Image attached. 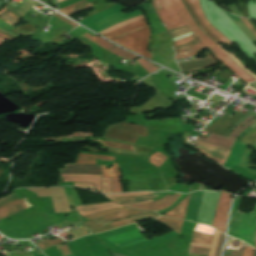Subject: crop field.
Here are the masks:
<instances>
[{
	"instance_id": "dafd665d",
	"label": "crop field",
	"mask_w": 256,
	"mask_h": 256,
	"mask_svg": "<svg viewBox=\"0 0 256 256\" xmlns=\"http://www.w3.org/2000/svg\"><path fill=\"white\" fill-rule=\"evenodd\" d=\"M0 18H2L4 21H6L7 23L13 26L19 23L20 21L19 17H17L7 9L0 14Z\"/></svg>"
},
{
	"instance_id": "c035e120",
	"label": "crop field",
	"mask_w": 256,
	"mask_h": 256,
	"mask_svg": "<svg viewBox=\"0 0 256 256\" xmlns=\"http://www.w3.org/2000/svg\"><path fill=\"white\" fill-rule=\"evenodd\" d=\"M113 192H122L120 187V177L112 178Z\"/></svg>"
},
{
	"instance_id": "db79e9e6",
	"label": "crop field",
	"mask_w": 256,
	"mask_h": 256,
	"mask_svg": "<svg viewBox=\"0 0 256 256\" xmlns=\"http://www.w3.org/2000/svg\"><path fill=\"white\" fill-rule=\"evenodd\" d=\"M255 249H256V245H255Z\"/></svg>"
},
{
	"instance_id": "214f88e0",
	"label": "crop field",
	"mask_w": 256,
	"mask_h": 256,
	"mask_svg": "<svg viewBox=\"0 0 256 256\" xmlns=\"http://www.w3.org/2000/svg\"><path fill=\"white\" fill-rule=\"evenodd\" d=\"M186 6V8L188 9L190 15L193 17V19L196 21V23L199 25V27L201 28V30L204 32V34L206 36H208L210 39H212L215 43H220V41L218 39H216L202 24L201 22L198 20V18L196 17V15L194 14L188 0H182Z\"/></svg>"
},
{
	"instance_id": "d32e631a",
	"label": "crop field",
	"mask_w": 256,
	"mask_h": 256,
	"mask_svg": "<svg viewBox=\"0 0 256 256\" xmlns=\"http://www.w3.org/2000/svg\"><path fill=\"white\" fill-rule=\"evenodd\" d=\"M0 29L4 30V31H6V32H9V33H11V34H13V35H15V36H17V37H19L18 34H16V33H14V32L11 31L12 29H14V27L11 26V25H9V24H7L6 22H4V21L1 20V19H0Z\"/></svg>"
},
{
	"instance_id": "0fb4a251",
	"label": "crop field",
	"mask_w": 256,
	"mask_h": 256,
	"mask_svg": "<svg viewBox=\"0 0 256 256\" xmlns=\"http://www.w3.org/2000/svg\"><path fill=\"white\" fill-rule=\"evenodd\" d=\"M0 36H1V37H4V38H6V39H8V40H10V41L12 40V38H10V37H8V36H5V35H3V34H0Z\"/></svg>"
},
{
	"instance_id": "d3111659",
	"label": "crop field",
	"mask_w": 256,
	"mask_h": 256,
	"mask_svg": "<svg viewBox=\"0 0 256 256\" xmlns=\"http://www.w3.org/2000/svg\"><path fill=\"white\" fill-rule=\"evenodd\" d=\"M188 32H190V30L187 28V26H185V27H182L179 29L169 31L168 34L170 35L171 38H176V37L182 36Z\"/></svg>"
},
{
	"instance_id": "25e5ab78",
	"label": "crop field",
	"mask_w": 256,
	"mask_h": 256,
	"mask_svg": "<svg viewBox=\"0 0 256 256\" xmlns=\"http://www.w3.org/2000/svg\"><path fill=\"white\" fill-rule=\"evenodd\" d=\"M254 249L249 247L244 249L242 256H253Z\"/></svg>"
},
{
	"instance_id": "8a807250",
	"label": "crop field",
	"mask_w": 256,
	"mask_h": 256,
	"mask_svg": "<svg viewBox=\"0 0 256 256\" xmlns=\"http://www.w3.org/2000/svg\"><path fill=\"white\" fill-rule=\"evenodd\" d=\"M172 2V5L170 3ZM152 0V5L155 7L156 15L161 23L167 28V31L187 25L196 37L202 42L189 49L178 51L175 53V59H182L193 56L205 49H210L217 60L227 66L236 75L242 78L245 82L254 81L252 77L240 70L234 62L225 54V52L216 45L212 40L206 37L192 17L187 12L181 0Z\"/></svg>"
},
{
	"instance_id": "3316defc",
	"label": "crop field",
	"mask_w": 256,
	"mask_h": 256,
	"mask_svg": "<svg viewBox=\"0 0 256 256\" xmlns=\"http://www.w3.org/2000/svg\"><path fill=\"white\" fill-rule=\"evenodd\" d=\"M195 146L197 149L202 152L205 156L217 161L222 164L225 162L230 149L222 148L219 146H215L200 140L196 139Z\"/></svg>"
},
{
	"instance_id": "733c2abd",
	"label": "crop field",
	"mask_w": 256,
	"mask_h": 256,
	"mask_svg": "<svg viewBox=\"0 0 256 256\" xmlns=\"http://www.w3.org/2000/svg\"><path fill=\"white\" fill-rule=\"evenodd\" d=\"M90 7H92V5H90L87 1L83 0L81 2L60 9V12L70 16L72 14H75Z\"/></svg>"
},
{
	"instance_id": "bc2a9ffb",
	"label": "crop field",
	"mask_w": 256,
	"mask_h": 256,
	"mask_svg": "<svg viewBox=\"0 0 256 256\" xmlns=\"http://www.w3.org/2000/svg\"><path fill=\"white\" fill-rule=\"evenodd\" d=\"M157 197H159V196H157L156 194H149V195H145V196L115 198V199H111V200L115 201L117 203H120V204H125V203H133V202H140V201H144V200L154 199Z\"/></svg>"
},
{
	"instance_id": "447ae74e",
	"label": "crop field",
	"mask_w": 256,
	"mask_h": 256,
	"mask_svg": "<svg viewBox=\"0 0 256 256\" xmlns=\"http://www.w3.org/2000/svg\"><path fill=\"white\" fill-rule=\"evenodd\" d=\"M62 1H64V0H57L58 3H59V2H62Z\"/></svg>"
},
{
	"instance_id": "b54c1fbb",
	"label": "crop field",
	"mask_w": 256,
	"mask_h": 256,
	"mask_svg": "<svg viewBox=\"0 0 256 256\" xmlns=\"http://www.w3.org/2000/svg\"><path fill=\"white\" fill-rule=\"evenodd\" d=\"M57 248L59 249V251L62 253L63 256L71 255L67 244L61 245V246H57Z\"/></svg>"
},
{
	"instance_id": "d9b57169",
	"label": "crop field",
	"mask_w": 256,
	"mask_h": 256,
	"mask_svg": "<svg viewBox=\"0 0 256 256\" xmlns=\"http://www.w3.org/2000/svg\"><path fill=\"white\" fill-rule=\"evenodd\" d=\"M26 208H28V206L21 199H19L0 208V219Z\"/></svg>"
},
{
	"instance_id": "c21b1889",
	"label": "crop field",
	"mask_w": 256,
	"mask_h": 256,
	"mask_svg": "<svg viewBox=\"0 0 256 256\" xmlns=\"http://www.w3.org/2000/svg\"><path fill=\"white\" fill-rule=\"evenodd\" d=\"M198 43H200V41H198L197 39H195V40H193V41H191V42H188V43H186V44H184V45L175 47L174 50L177 51V50L189 48V47H191V46H193V45H195V44H198Z\"/></svg>"
},
{
	"instance_id": "22f410ed",
	"label": "crop field",
	"mask_w": 256,
	"mask_h": 256,
	"mask_svg": "<svg viewBox=\"0 0 256 256\" xmlns=\"http://www.w3.org/2000/svg\"><path fill=\"white\" fill-rule=\"evenodd\" d=\"M205 54L207 55V57L203 59H200V60L194 59V60L178 63V65L182 70V73L187 71L200 70L205 67L216 64V61L213 59V57L210 55L209 52Z\"/></svg>"
},
{
	"instance_id": "4177f3b9",
	"label": "crop field",
	"mask_w": 256,
	"mask_h": 256,
	"mask_svg": "<svg viewBox=\"0 0 256 256\" xmlns=\"http://www.w3.org/2000/svg\"><path fill=\"white\" fill-rule=\"evenodd\" d=\"M90 140H92V141H98V142H100V144L103 145V146L133 151V150H132V147L129 146V145H124V144L115 143V142H111V141H102V140H93V139H90Z\"/></svg>"
},
{
	"instance_id": "b80d0937",
	"label": "crop field",
	"mask_w": 256,
	"mask_h": 256,
	"mask_svg": "<svg viewBox=\"0 0 256 256\" xmlns=\"http://www.w3.org/2000/svg\"><path fill=\"white\" fill-rule=\"evenodd\" d=\"M219 234H220V232L215 231V235H214V238H213V241H212V245H211L209 256H214V251H215V247H216V243H217Z\"/></svg>"
},
{
	"instance_id": "28ad6ade",
	"label": "crop field",
	"mask_w": 256,
	"mask_h": 256,
	"mask_svg": "<svg viewBox=\"0 0 256 256\" xmlns=\"http://www.w3.org/2000/svg\"><path fill=\"white\" fill-rule=\"evenodd\" d=\"M230 200H231V196L229 194L225 192H221L219 202L215 210V216H214L212 226L223 232L225 231L227 211H228Z\"/></svg>"
},
{
	"instance_id": "750c4746",
	"label": "crop field",
	"mask_w": 256,
	"mask_h": 256,
	"mask_svg": "<svg viewBox=\"0 0 256 256\" xmlns=\"http://www.w3.org/2000/svg\"><path fill=\"white\" fill-rule=\"evenodd\" d=\"M141 18H143V15L138 16V17H135V18H132V19H129V20L124 21V22H121V23H119V24H116V25H114V26H112V27H110V28H108V29H105V30L99 32V33H100L101 35H103V34L109 32V31H111V30H113V29H115V28H117V27H119V26L125 25V24H127V23L133 22V21L138 20V19H141Z\"/></svg>"
},
{
	"instance_id": "d1516ede",
	"label": "crop field",
	"mask_w": 256,
	"mask_h": 256,
	"mask_svg": "<svg viewBox=\"0 0 256 256\" xmlns=\"http://www.w3.org/2000/svg\"><path fill=\"white\" fill-rule=\"evenodd\" d=\"M193 10L195 11L197 17L200 19L202 24L215 36L217 37L223 44H227L230 46L232 43L226 39L217 29H215L206 19L202 8L198 2V0H189Z\"/></svg>"
},
{
	"instance_id": "73cf0c24",
	"label": "crop field",
	"mask_w": 256,
	"mask_h": 256,
	"mask_svg": "<svg viewBox=\"0 0 256 256\" xmlns=\"http://www.w3.org/2000/svg\"><path fill=\"white\" fill-rule=\"evenodd\" d=\"M241 20L251 30V32L256 36V31L253 29V27L250 25V23L247 21V19H241Z\"/></svg>"
},
{
	"instance_id": "e1f06a70",
	"label": "crop field",
	"mask_w": 256,
	"mask_h": 256,
	"mask_svg": "<svg viewBox=\"0 0 256 256\" xmlns=\"http://www.w3.org/2000/svg\"><path fill=\"white\" fill-rule=\"evenodd\" d=\"M208 251H209V249H206V248H199V247L190 246L188 252L207 255Z\"/></svg>"
},
{
	"instance_id": "dd49c442",
	"label": "crop field",
	"mask_w": 256,
	"mask_h": 256,
	"mask_svg": "<svg viewBox=\"0 0 256 256\" xmlns=\"http://www.w3.org/2000/svg\"><path fill=\"white\" fill-rule=\"evenodd\" d=\"M241 199H235L228 234L237 237L254 247L256 231V205L251 213H240Z\"/></svg>"
},
{
	"instance_id": "4a817a6b",
	"label": "crop field",
	"mask_w": 256,
	"mask_h": 256,
	"mask_svg": "<svg viewBox=\"0 0 256 256\" xmlns=\"http://www.w3.org/2000/svg\"><path fill=\"white\" fill-rule=\"evenodd\" d=\"M95 159L114 161V157L80 153L76 163L95 164Z\"/></svg>"
},
{
	"instance_id": "425ffa30",
	"label": "crop field",
	"mask_w": 256,
	"mask_h": 256,
	"mask_svg": "<svg viewBox=\"0 0 256 256\" xmlns=\"http://www.w3.org/2000/svg\"><path fill=\"white\" fill-rule=\"evenodd\" d=\"M193 39H195L194 34H192V35H190V36H188V37H186V38H184V39H182V40L173 42V47H174V46H178V45H180V44H182V43H185V42L190 41V40H193Z\"/></svg>"
},
{
	"instance_id": "f4fd0767",
	"label": "crop field",
	"mask_w": 256,
	"mask_h": 256,
	"mask_svg": "<svg viewBox=\"0 0 256 256\" xmlns=\"http://www.w3.org/2000/svg\"><path fill=\"white\" fill-rule=\"evenodd\" d=\"M146 23L147 22L145 18H143L136 22L115 29L103 36L151 59V54L147 50L149 30Z\"/></svg>"
},
{
	"instance_id": "d23c7cc5",
	"label": "crop field",
	"mask_w": 256,
	"mask_h": 256,
	"mask_svg": "<svg viewBox=\"0 0 256 256\" xmlns=\"http://www.w3.org/2000/svg\"><path fill=\"white\" fill-rule=\"evenodd\" d=\"M170 196H171V195H167V196L163 197L162 199L156 200V201H154V202H152V203H148V204H144V205H138V206H131V207L139 208V207H144V206L159 204V203L163 202L165 199H167V198L170 197Z\"/></svg>"
},
{
	"instance_id": "ae1a2a85",
	"label": "crop field",
	"mask_w": 256,
	"mask_h": 256,
	"mask_svg": "<svg viewBox=\"0 0 256 256\" xmlns=\"http://www.w3.org/2000/svg\"><path fill=\"white\" fill-rule=\"evenodd\" d=\"M109 51H111V52H113V53H115V54H117V55H119V56H121V57H123V58H125L127 60H134V59L138 58V57H136V56H134V55H132V54H130L128 52L122 51V50H120V49H118L116 47L111 49V50H109Z\"/></svg>"
},
{
	"instance_id": "5d738f31",
	"label": "crop field",
	"mask_w": 256,
	"mask_h": 256,
	"mask_svg": "<svg viewBox=\"0 0 256 256\" xmlns=\"http://www.w3.org/2000/svg\"><path fill=\"white\" fill-rule=\"evenodd\" d=\"M223 240H224V234L221 233L220 237H219V240H218L215 256H219L220 255V251H221V246H222Z\"/></svg>"
},
{
	"instance_id": "5142ce71",
	"label": "crop field",
	"mask_w": 256,
	"mask_h": 256,
	"mask_svg": "<svg viewBox=\"0 0 256 256\" xmlns=\"http://www.w3.org/2000/svg\"><path fill=\"white\" fill-rule=\"evenodd\" d=\"M64 181H86L95 182L98 192H100V175L85 174H61Z\"/></svg>"
},
{
	"instance_id": "0765c3eb",
	"label": "crop field",
	"mask_w": 256,
	"mask_h": 256,
	"mask_svg": "<svg viewBox=\"0 0 256 256\" xmlns=\"http://www.w3.org/2000/svg\"><path fill=\"white\" fill-rule=\"evenodd\" d=\"M3 41V39L0 38V43Z\"/></svg>"
},
{
	"instance_id": "5a996713",
	"label": "crop field",
	"mask_w": 256,
	"mask_h": 256,
	"mask_svg": "<svg viewBox=\"0 0 256 256\" xmlns=\"http://www.w3.org/2000/svg\"><path fill=\"white\" fill-rule=\"evenodd\" d=\"M30 190L36 192L38 197L51 196L56 213L70 211L64 187L38 188Z\"/></svg>"
},
{
	"instance_id": "eef30255",
	"label": "crop field",
	"mask_w": 256,
	"mask_h": 256,
	"mask_svg": "<svg viewBox=\"0 0 256 256\" xmlns=\"http://www.w3.org/2000/svg\"><path fill=\"white\" fill-rule=\"evenodd\" d=\"M165 160H166V157L157 152L154 155L150 156L149 158L150 163L158 167L162 165Z\"/></svg>"
},
{
	"instance_id": "1d83c4d3",
	"label": "crop field",
	"mask_w": 256,
	"mask_h": 256,
	"mask_svg": "<svg viewBox=\"0 0 256 256\" xmlns=\"http://www.w3.org/2000/svg\"><path fill=\"white\" fill-rule=\"evenodd\" d=\"M137 62H139V63L144 67V69H145L146 71H148L149 73H151V72H153V71L159 69V68L155 67L154 64L149 63V62H147V61H144V60H142V59L137 60Z\"/></svg>"
},
{
	"instance_id": "5866460e",
	"label": "crop field",
	"mask_w": 256,
	"mask_h": 256,
	"mask_svg": "<svg viewBox=\"0 0 256 256\" xmlns=\"http://www.w3.org/2000/svg\"><path fill=\"white\" fill-rule=\"evenodd\" d=\"M246 4H247L248 10H249L250 18L256 19V3L251 1V2H247Z\"/></svg>"
},
{
	"instance_id": "34b2d1b8",
	"label": "crop field",
	"mask_w": 256,
	"mask_h": 256,
	"mask_svg": "<svg viewBox=\"0 0 256 256\" xmlns=\"http://www.w3.org/2000/svg\"><path fill=\"white\" fill-rule=\"evenodd\" d=\"M206 1L210 11L206 7L205 0H199L208 21L232 43L236 42L249 59L254 58L256 60L253 55L256 54V47L236 27L223 10L219 9L211 0Z\"/></svg>"
},
{
	"instance_id": "cbeb9de0",
	"label": "crop field",
	"mask_w": 256,
	"mask_h": 256,
	"mask_svg": "<svg viewBox=\"0 0 256 256\" xmlns=\"http://www.w3.org/2000/svg\"><path fill=\"white\" fill-rule=\"evenodd\" d=\"M118 207H123V206H119L113 202H109V203H102V204L79 206V207H77V210L82 216H84V215H88V214L95 213L98 211L114 209V208H118Z\"/></svg>"
},
{
	"instance_id": "d8731c3e",
	"label": "crop field",
	"mask_w": 256,
	"mask_h": 256,
	"mask_svg": "<svg viewBox=\"0 0 256 256\" xmlns=\"http://www.w3.org/2000/svg\"><path fill=\"white\" fill-rule=\"evenodd\" d=\"M147 134L144 127L120 123L108 126L105 137L134 143L138 135L146 137Z\"/></svg>"
},
{
	"instance_id": "120bbe31",
	"label": "crop field",
	"mask_w": 256,
	"mask_h": 256,
	"mask_svg": "<svg viewBox=\"0 0 256 256\" xmlns=\"http://www.w3.org/2000/svg\"><path fill=\"white\" fill-rule=\"evenodd\" d=\"M102 192H111L110 178H102L101 175Z\"/></svg>"
},
{
	"instance_id": "03da06ac",
	"label": "crop field",
	"mask_w": 256,
	"mask_h": 256,
	"mask_svg": "<svg viewBox=\"0 0 256 256\" xmlns=\"http://www.w3.org/2000/svg\"><path fill=\"white\" fill-rule=\"evenodd\" d=\"M254 108H255V106H253L248 112H247V114L242 118V119H240L236 124H234L230 129H229V131L226 133V137H228V135H229V133H230V131L232 130V129H234L240 122H242L246 117H248L249 115H250V113L254 110Z\"/></svg>"
},
{
	"instance_id": "1f2cbd36",
	"label": "crop field",
	"mask_w": 256,
	"mask_h": 256,
	"mask_svg": "<svg viewBox=\"0 0 256 256\" xmlns=\"http://www.w3.org/2000/svg\"><path fill=\"white\" fill-rule=\"evenodd\" d=\"M54 16H56V17H58V18L64 20L65 22L69 23V24L72 25V26L76 25V24H74V23H72V22L66 20L65 18L61 17L60 15H58V14H56V13L54 14Z\"/></svg>"
},
{
	"instance_id": "ac0d7876",
	"label": "crop field",
	"mask_w": 256,
	"mask_h": 256,
	"mask_svg": "<svg viewBox=\"0 0 256 256\" xmlns=\"http://www.w3.org/2000/svg\"><path fill=\"white\" fill-rule=\"evenodd\" d=\"M156 219L158 221H160L161 223H163L164 225H166L167 227H169L170 229H172V230H174L178 233L180 232L181 225H182L183 221L164 218V217H159V218H156ZM136 228H137L136 225L133 224V225H129V226H125V227L117 228V229H114V230H111V231H108V232L101 233V235H103L105 238H107V237L117 235V234L129 231V230H133V229H136ZM174 231H171V232L166 233L162 236L147 240L144 236H142L139 233L138 229H136V230L126 232V233H123V234H120V235H117V236H114V237H110V238H107V239H109L113 243H116V242L124 241V240H127V239H131V238H134V237L142 236V237L134 238V239L127 240V241H124V242L116 243L120 247H122L125 250L131 252V251H134V250H137V249H141V248L159 243L161 241L167 240L171 237H174V236L178 235V233H176Z\"/></svg>"
},
{
	"instance_id": "92a150f3",
	"label": "crop field",
	"mask_w": 256,
	"mask_h": 256,
	"mask_svg": "<svg viewBox=\"0 0 256 256\" xmlns=\"http://www.w3.org/2000/svg\"><path fill=\"white\" fill-rule=\"evenodd\" d=\"M180 194H173L172 197L168 198L167 200H165L162 204L159 205H155V206H149V207H144V208H139V209H148V210H162L168 206H170L179 196Z\"/></svg>"
},
{
	"instance_id": "9d1cf04e",
	"label": "crop field",
	"mask_w": 256,
	"mask_h": 256,
	"mask_svg": "<svg viewBox=\"0 0 256 256\" xmlns=\"http://www.w3.org/2000/svg\"><path fill=\"white\" fill-rule=\"evenodd\" d=\"M112 256H122V255H119V254H116V253H113L111 252Z\"/></svg>"
},
{
	"instance_id": "1d79db26",
	"label": "crop field",
	"mask_w": 256,
	"mask_h": 256,
	"mask_svg": "<svg viewBox=\"0 0 256 256\" xmlns=\"http://www.w3.org/2000/svg\"><path fill=\"white\" fill-rule=\"evenodd\" d=\"M241 254H242V251L241 252L236 251L234 256H241Z\"/></svg>"
},
{
	"instance_id": "a9b5d70f",
	"label": "crop field",
	"mask_w": 256,
	"mask_h": 256,
	"mask_svg": "<svg viewBox=\"0 0 256 256\" xmlns=\"http://www.w3.org/2000/svg\"><path fill=\"white\" fill-rule=\"evenodd\" d=\"M212 237L213 236H211V235H207V234H203V233L194 231L191 241L210 244Z\"/></svg>"
},
{
	"instance_id": "028f5c9d",
	"label": "crop field",
	"mask_w": 256,
	"mask_h": 256,
	"mask_svg": "<svg viewBox=\"0 0 256 256\" xmlns=\"http://www.w3.org/2000/svg\"><path fill=\"white\" fill-rule=\"evenodd\" d=\"M195 230L213 235L215 229L208 226L197 224Z\"/></svg>"
},
{
	"instance_id": "89e229c0",
	"label": "crop field",
	"mask_w": 256,
	"mask_h": 256,
	"mask_svg": "<svg viewBox=\"0 0 256 256\" xmlns=\"http://www.w3.org/2000/svg\"><path fill=\"white\" fill-rule=\"evenodd\" d=\"M75 185H77L79 187H83V188H93L92 183H75Z\"/></svg>"
},
{
	"instance_id": "412701ff",
	"label": "crop field",
	"mask_w": 256,
	"mask_h": 256,
	"mask_svg": "<svg viewBox=\"0 0 256 256\" xmlns=\"http://www.w3.org/2000/svg\"><path fill=\"white\" fill-rule=\"evenodd\" d=\"M146 212H151V211L134 210L127 207L103 211V212L85 216V218L89 219L90 221L83 223V225L92 229L94 233H98L100 231H107L112 228L120 227L133 222L158 216L156 212L133 216V215L146 213ZM129 216H133V217H129ZM125 217H129V218L118 220ZM114 220H118V221H114ZM111 221H114V222H111Z\"/></svg>"
},
{
	"instance_id": "0bd39190",
	"label": "crop field",
	"mask_w": 256,
	"mask_h": 256,
	"mask_svg": "<svg viewBox=\"0 0 256 256\" xmlns=\"http://www.w3.org/2000/svg\"><path fill=\"white\" fill-rule=\"evenodd\" d=\"M152 192H137V193H125V194H112L106 195L107 197H126V196H136V195H144Z\"/></svg>"
},
{
	"instance_id": "00972430",
	"label": "crop field",
	"mask_w": 256,
	"mask_h": 256,
	"mask_svg": "<svg viewBox=\"0 0 256 256\" xmlns=\"http://www.w3.org/2000/svg\"><path fill=\"white\" fill-rule=\"evenodd\" d=\"M82 36L89 38L91 41H93L94 43L100 45L101 47H103V48H105L107 50L115 47V46L111 45L110 43L106 42L105 40L101 39L100 37H98L96 35L93 37V36L85 33Z\"/></svg>"
},
{
	"instance_id": "e52e79f7",
	"label": "crop field",
	"mask_w": 256,
	"mask_h": 256,
	"mask_svg": "<svg viewBox=\"0 0 256 256\" xmlns=\"http://www.w3.org/2000/svg\"><path fill=\"white\" fill-rule=\"evenodd\" d=\"M203 193L204 192H194L191 193L180 203L178 204L173 210L167 212L166 214H164L165 216H170V217H176V218H182L183 215V211L187 202V198H188V202L184 211V215L183 218L184 220H188V221H196V217L198 214V210L200 207V203L203 197Z\"/></svg>"
},
{
	"instance_id": "dbb93151",
	"label": "crop field",
	"mask_w": 256,
	"mask_h": 256,
	"mask_svg": "<svg viewBox=\"0 0 256 256\" xmlns=\"http://www.w3.org/2000/svg\"><path fill=\"white\" fill-rule=\"evenodd\" d=\"M151 201H152V200L145 201V202H140V203L126 204V206L138 205V204H144V203H148V202H151Z\"/></svg>"
},
{
	"instance_id": "bd1437ed",
	"label": "crop field",
	"mask_w": 256,
	"mask_h": 256,
	"mask_svg": "<svg viewBox=\"0 0 256 256\" xmlns=\"http://www.w3.org/2000/svg\"><path fill=\"white\" fill-rule=\"evenodd\" d=\"M62 242H64V241L61 240V239L54 240V241H51V240L47 239V240H44V241H42V242L37 243L36 245H37L40 249L43 250V249H45V248H47V247H49V246H51V245L58 244V243H62Z\"/></svg>"
},
{
	"instance_id": "730fd06b",
	"label": "crop field",
	"mask_w": 256,
	"mask_h": 256,
	"mask_svg": "<svg viewBox=\"0 0 256 256\" xmlns=\"http://www.w3.org/2000/svg\"><path fill=\"white\" fill-rule=\"evenodd\" d=\"M102 169L103 177H114V176H120L119 170L117 167V164H113V167H110L111 169H106L105 166H100Z\"/></svg>"
}]
</instances>
